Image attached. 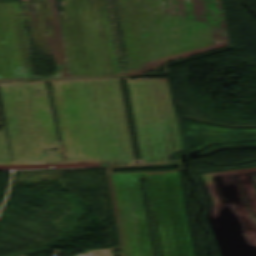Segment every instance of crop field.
<instances>
[{"instance_id": "obj_1", "label": "crop field", "mask_w": 256, "mask_h": 256, "mask_svg": "<svg viewBox=\"0 0 256 256\" xmlns=\"http://www.w3.org/2000/svg\"><path fill=\"white\" fill-rule=\"evenodd\" d=\"M15 0H0V2H13ZM25 2H42L54 0H20ZM100 166L99 163H68V164H5L0 169H23V168H55V167H86Z\"/></svg>"}, {"instance_id": "obj_2", "label": "crop field", "mask_w": 256, "mask_h": 256, "mask_svg": "<svg viewBox=\"0 0 256 256\" xmlns=\"http://www.w3.org/2000/svg\"><path fill=\"white\" fill-rule=\"evenodd\" d=\"M133 163V162H132Z\"/></svg>"}]
</instances>
